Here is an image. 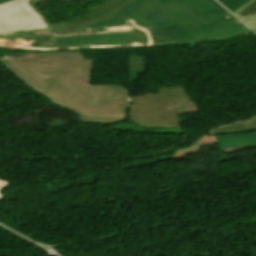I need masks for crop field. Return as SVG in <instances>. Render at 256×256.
<instances>
[{
  "mask_svg": "<svg viewBox=\"0 0 256 256\" xmlns=\"http://www.w3.org/2000/svg\"><path fill=\"white\" fill-rule=\"evenodd\" d=\"M2 60L60 103L88 114L122 115L127 91L114 85L90 84L93 61L81 52H25Z\"/></svg>",
  "mask_w": 256,
  "mask_h": 256,
  "instance_id": "crop-field-1",
  "label": "crop field"
},
{
  "mask_svg": "<svg viewBox=\"0 0 256 256\" xmlns=\"http://www.w3.org/2000/svg\"><path fill=\"white\" fill-rule=\"evenodd\" d=\"M132 18L155 46L226 40L245 32L207 0H138L113 18L86 28L117 26Z\"/></svg>",
  "mask_w": 256,
  "mask_h": 256,
  "instance_id": "crop-field-2",
  "label": "crop field"
},
{
  "mask_svg": "<svg viewBox=\"0 0 256 256\" xmlns=\"http://www.w3.org/2000/svg\"><path fill=\"white\" fill-rule=\"evenodd\" d=\"M123 89L128 94L121 122L126 121V111L131 106L128 117L132 123L142 127L182 128L172 102L191 99L185 88H158L159 93L138 96H131L129 89Z\"/></svg>",
  "mask_w": 256,
  "mask_h": 256,
  "instance_id": "crop-field-3",
  "label": "crop field"
},
{
  "mask_svg": "<svg viewBox=\"0 0 256 256\" xmlns=\"http://www.w3.org/2000/svg\"><path fill=\"white\" fill-rule=\"evenodd\" d=\"M27 1L15 0L0 5V34L46 28L42 18L28 5Z\"/></svg>",
  "mask_w": 256,
  "mask_h": 256,
  "instance_id": "crop-field-4",
  "label": "crop field"
},
{
  "mask_svg": "<svg viewBox=\"0 0 256 256\" xmlns=\"http://www.w3.org/2000/svg\"><path fill=\"white\" fill-rule=\"evenodd\" d=\"M135 0H109L92 9L88 15L81 16L68 21L53 24L57 35L84 31L85 26L109 19L114 16L121 8Z\"/></svg>",
  "mask_w": 256,
  "mask_h": 256,
  "instance_id": "crop-field-5",
  "label": "crop field"
},
{
  "mask_svg": "<svg viewBox=\"0 0 256 256\" xmlns=\"http://www.w3.org/2000/svg\"><path fill=\"white\" fill-rule=\"evenodd\" d=\"M135 42L140 44H148L147 34L145 32H139L111 36L57 38L58 48L128 45Z\"/></svg>",
  "mask_w": 256,
  "mask_h": 256,
  "instance_id": "crop-field-6",
  "label": "crop field"
},
{
  "mask_svg": "<svg viewBox=\"0 0 256 256\" xmlns=\"http://www.w3.org/2000/svg\"><path fill=\"white\" fill-rule=\"evenodd\" d=\"M0 61L2 62V64L7 69H9L11 72H13L19 79H21L23 82H25L27 85H29V87H31L33 90H35L39 94L47 97L53 104H55L57 106H60V107H66V106L56 102L55 100H53L52 98H50L46 94L42 93L41 91H39L35 87H33L25 79H23L20 75H18L14 70H12L7 64H5L2 60H0ZM66 108H68V107H66ZM68 109L72 110L75 114L79 115V122L109 123V124H113V123H120V119H121V117H113V116L88 115V114L82 113L80 111L71 109V108H68Z\"/></svg>",
  "mask_w": 256,
  "mask_h": 256,
  "instance_id": "crop-field-7",
  "label": "crop field"
},
{
  "mask_svg": "<svg viewBox=\"0 0 256 256\" xmlns=\"http://www.w3.org/2000/svg\"><path fill=\"white\" fill-rule=\"evenodd\" d=\"M213 137L221 147L222 151L256 144V132Z\"/></svg>",
  "mask_w": 256,
  "mask_h": 256,
  "instance_id": "crop-field-8",
  "label": "crop field"
},
{
  "mask_svg": "<svg viewBox=\"0 0 256 256\" xmlns=\"http://www.w3.org/2000/svg\"><path fill=\"white\" fill-rule=\"evenodd\" d=\"M256 131V118L211 130L212 135L238 134Z\"/></svg>",
  "mask_w": 256,
  "mask_h": 256,
  "instance_id": "crop-field-9",
  "label": "crop field"
},
{
  "mask_svg": "<svg viewBox=\"0 0 256 256\" xmlns=\"http://www.w3.org/2000/svg\"><path fill=\"white\" fill-rule=\"evenodd\" d=\"M236 16H238L241 20L246 22L245 20L253 19L256 17V0H250L233 12Z\"/></svg>",
  "mask_w": 256,
  "mask_h": 256,
  "instance_id": "crop-field-10",
  "label": "crop field"
},
{
  "mask_svg": "<svg viewBox=\"0 0 256 256\" xmlns=\"http://www.w3.org/2000/svg\"><path fill=\"white\" fill-rule=\"evenodd\" d=\"M219 1L222 2L228 9H230L233 12L248 0H219Z\"/></svg>",
  "mask_w": 256,
  "mask_h": 256,
  "instance_id": "crop-field-11",
  "label": "crop field"
},
{
  "mask_svg": "<svg viewBox=\"0 0 256 256\" xmlns=\"http://www.w3.org/2000/svg\"><path fill=\"white\" fill-rule=\"evenodd\" d=\"M9 185H11V184L6 181L0 180V201L4 200V196L1 195V190H4Z\"/></svg>",
  "mask_w": 256,
  "mask_h": 256,
  "instance_id": "crop-field-12",
  "label": "crop field"
},
{
  "mask_svg": "<svg viewBox=\"0 0 256 256\" xmlns=\"http://www.w3.org/2000/svg\"><path fill=\"white\" fill-rule=\"evenodd\" d=\"M246 24L249 25V27L252 30L256 31V18L251 20V21H249V22H246Z\"/></svg>",
  "mask_w": 256,
  "mask_h": 256,
  "instance_id": "crop-field-13",
  "label": "crop field"
},
{
  "mask_svg": "<svg viewBox=\"0 0 256 256\" xmlns=\"http://www.w3.org/2000/svg\"><path fill=\"white\" fill-rule=\"evenodd\" d=\"M9 1H12V0H0V4L6 3V2H9Z\"/></svg>",
  "mask_w": 256,
  "mask_h": 256,
  "instance_id": "crop-field-14",
  "label": "crop field"
},
{
  "mask_svg": "<svg viewBox=\"0 0 256 256\" xmlns=\"http://www.w3.org/2000/svg\"><path fill=\"white\" fill-rule=\"evenodd\" d=\"M39 1H44V0H34V2H39Z\"/></svg>",
  "mask_w": 256,
  "mask_h": 256,
  "instance_id": "crop-field-15",
  "label": "crop field"
}]
</instances>
